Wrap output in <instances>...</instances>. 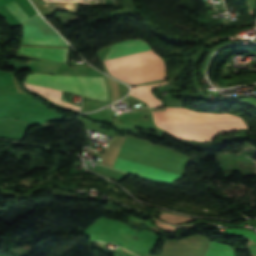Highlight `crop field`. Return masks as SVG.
Returning <instances> with one entry per match:
<instances>
[{"mask_svg": "<svg viewBox=\"0 0 256 256\" xmlns=\"http://www.w3.org/2000/svg\"><path fill=\"white\" fill-rule=\"evenodd\" d=\"M24 44L64 45L59 38L25 37Z\"/></svg>", "mask_w": 256, "mask_h": 256, "instance_id": "e52e79f7", "label": "crop field"}, {"mask_svg": "<svg viewBox=\"0 0 256 256\" xmlns=\"http://www.w3.org/2000/svg\"><path fill=\"white\" fill-rule=\"evenodd\" d=\"M33 2L43 16L52 15L55 11L51 7L39 2V0H33Z\"/></svg>", "mask_w": 256, "mask_h": 256, "instance_id": "3316defc", "label": "crop field"}, {"mask_svg": "<svg viewBox=\"0 0 256 256\" xmlns=\"http://www.w3.org/2000/svg\"><path fill=\"white\" fill-rule=\"evenodd\" d=\"M18 51L69 54V49L20 47ZM26 52H20V53L49 58V59L58 60V61H66L68 57V55H61V54H43V53H26Z\"/></svg>", "mask_w": 256, "mask_h": 256, "instance_id": "f4fd0767", "label": "crop field"}, {"mask_svg": "<svg viewBox=\"0 0 256 256\" xmlns=\"http://www.w3.org/2000/svg\"><path fill=\"white\" fill-rule=\"evenodd\" d=\"M157 126L163 128L168 133L178 136L182 139H195L200 141L210 140L219 133L230 132L246 128L244 122L172 124Z\"/></svg>", "mask_w": 256, "mask_h": 256, "instance_id": "34b2d1b8", "label": "crop field"}, {"mask_svg": "<svg viewBox=\"0 0 256 256\" xmlns=\"http://www.w3.org/2000/svg\"><path fill=\"white\" fill-rule=\"evenodd\" d=\"M249 249L251 250V252H252L253 254L256 255V245H254V244L252 243V244L250 245Z\"/></svg>", "mask_w": 256, "mask_h": 256, "instance_id": "28ad6ade", "label": "crop field"}, {"mask_svg": "<svg viewBox=\"0 0 256 256\" xmlns=\"http://www.w3.org/2000/svg\"><path fill=\"white\" fill-rule=\"evenodd\" d=\"M239 233L242 236H244V237H246V238H248V239H250V240H252V241H254L256 243V234L253 231H251V230L228 229L227 232H226V234H236V235H239Z\"/></svg>", "mask_w": 256, "mask_h": 256, "instance_id": "5a996713", "label": "crop field"}, {"mask_svg": "<svg viewBox=\"0 0 256 256\" xmlns=\"http://www.w3.org/2000/svg\"><path fill=\"white\" fill-rule=\"evenodd\" d=\"M11 12L12 14L20 21L23 22L27 18H29L25 12L18 6V4L14 1L12 3L6 4L5 5Z\"/></svg>", "mask_w": 256, "mask_h": 256, "instance_id": "d8731c3e", "label": "crop field"}, {"mask_svg": "<svg viewBox=\"0 0 256 256\" xmlns=\"http://www.w3.org/2000/svg\"><path fill=\"white\" fill-rule=\"evenodd\" d=\"M205 256H235L233 249L227 245L211 242Z\"/></svg>", "mask_w": 256, "mask_h": 256, "instance_id": "dd49c442", "label": "crop field"}, {"mask_svg": "<svg viewBox=\"0 0 256 256\" xmlns=\"http://www.w3.org/2000/svg\"><path fill=\"white\" fill-rule=\"evenodd\" d=\"M24 82L48 88L84 94L92 98L107 101V90L104 78L67 77L29 73ZM30 84H26L30 89L38 93H41L60 104L67 105L78 110L80 109V107L73 106L69 103L60 100L61 91L52 90Z\"/></svg>", "mask_w": 256, "mask_h": 256, "instance_id": "ac0d7876", "label": "crop field"}, {"mask_svg": "<svg viewBox=\"0 0 256 256\" xmlns=\"http://www.w3.org/2000/svg\"><path fill=\"white\" fill-rule=\"evenodd\" d=\"M150 51L151 49L148 47V45L140 40L124 41L112 45L104 61ZM155 59H160V57L155 53L150 52L126 58L106 61L104 63L107 69H110ZM108 71L110 75L115 76L131 85L164 79V65L162 59L110 69Z\"/></svg>", "mask_w": 256, "mask_h": 256, "instance_id": "8a807250", "label": "crop field"}, {"mask_svg": "<svg viewBox=\"0 0 256 256\" xmlns=\"http://www.w3.org/2000/svg\"><path fill=\"white\" fill-rule=\"evenodd\" d=\"M113 168L132 173L145 180L162 183V184H173L176 181H178L180 178H182V176H178L172 173H168L162 170H158L152 167H148V166L138 164V163L128 161L118 157L113 165Z\"/></svg>", "mask_w": 256, "mask_h": 256, "instance_id": "412701ff", "label": "crop field"}]
</instances>
